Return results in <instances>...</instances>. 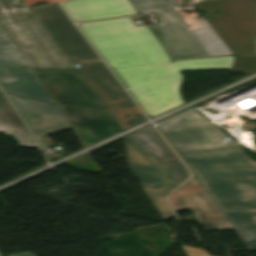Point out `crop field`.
Listing matches in <instances>:
<instances>
[{
	"label": "crop field",
	"instance_id": "1",
	"mask_svg": "<svg viewBox=\"0 0 256 256\" xmlns=\"http://www.w3.org/2000/svg\"><path fill=\"white\" fill-rule=\"evenodd\" d=\"M157 128L220 211L256 210V161L235 139L194 110Z\"/></svg>",
	"mask_w": 256,
	"mask_h": 256
},
{
	"label": "crop field",
	"instance_id": "2",
	"mask_svg": "<svg viewBox=\"0 0 256 256\" xmlns=\"http://www.w3.org/2000/svg\"><path fill=\"white\" fill-rule=\"evenodd\" d=\"M17 1L22 0H0V25L56 104L104 107L26 4Z\"/></svg>",
	"mask_w": 256,
	"mask_h": 256
},
{
	"label": "crop field",
	"instance_id": "3",
	"mask_svg": "<svg viewBox=\"0 0 256 256\" xmlns=\"http://www.w3.org/2000/svg\"><path fill=\"white\" fill-rule=\"evenodd\" d=\"M128 166L162 219L174 215L165 196L189 177L152 125L123 137Z\"/></svg>",
	"mask_w": 256,
	"mask_h": 256
},
{
	"label": "crop field",
	"instance_id": "4",
	"mask_svg": "<svg viewBox=\"0 0 256 256\" xmlns=\"http://www.w3.org/2000/svg\"><path fill=\"white\" fill-rule=\"evenodd\" d=\"M235 57L183 60L171 64L149 65L114 70L149 118L183 104L179 71L229 70Z\"/></svg>",
	"mask_w": 256,
	"mask_h": 256
},
{
	"label": "crop field",
	"instance_id": "5",
	"mask_svg": "<svg viewBox=\"0 0 256 256\" xmlns=\"http://www.w3.org/2000/svg\"><path fill=\"white\" fill-rule=\"evenodd\" d=\"M111 68L171 61L147 25L130 18L78 24Z\"/></svg>",
	"mask_w": 256,
	"mask_h": 256
},
{
	"label": "crop field",
	"instance_id": "6",
	"mask_svg": "<svg viewBox=\"0 0 256 256\" xmlns=\"http://www.w3.org/2000/svg\"><path fill=\"white\" fill-rule=\"evenodd\" d=\"M195 6L206 11L200 12L229 49L255 46L256 0H214Z\"/></svg>",
	"mask_w": 256,
	"mask_h": 256
},
{
	"label": "crop field",
	"instance_id": "7",
	"mask_svg": "<svg viewBox=\"0 0 256 256\" xmlns=\"http://www.w3.org/2000/svg\"><path fill=\"white\" fill-rule=\"evenodd\" d=\"M30 9L72 64L100 60L57 3Z\"/></svg>",
	"mask_w": 256,
	"mask_h": 256
},
{
	"label": "crop field",
	"instance_id": "8",
	"mask_svg": "<svg viewBox=\"0 0 256 256\" xmlns=\"http://www.w3.org/2000/svg\"><path fill=\"white\" fill-rule=\"evenodd\" d=\"M0 86L5 92L55 104L9 37L0 38Z\"/></svg>",
	"mask_w": 256,
	"mask_h": 256
},
{
	"label": "crop field",
	"instance_id": "9",
	"mask_svg": "<svg viewBox=\"0 0 256 256\" xmlns=\"http://www.w3.org/2000/svg\"><path fill=\"white\" fill-rule=\"evenodd\" d=\"M156 17L160 23L148 27L171 60L208 56L178 12L158 14Z\"/></svg>",
	"mask_w": 256,
	"mask_h": 256
},
{
	"label": "crop field",
	"instance_id": "10",
	"mask_svg": "<svg viewBox=\"0 0 256 256\" xmlns=\"http://www.w3.org/2000/svg\"><path fill=\"white\" fill-rule=\"evenodd\" d=\"M168 201L174 211L190 209L208 230L233 229L195 177L172 193Z\"/></svg>",
	"mask_w": 256,
	"mask_h": 256
},
{
	"label": "crop field",
	"instance_id": "11",
	"mask_svg": "<svg viewBox=\"0 0 256 256\" xmlns=\"http://www.w3.org/2000/svg\"><path fill=\"white\" fill-rule=\"evenodd\" d=\"M85 147L121 131L105 109L61 106Z\"/></svg>",
	"mask_w": 256,
	"mask_h": 256
},
{
	"label": "crop field",
	"instance_id": "12",
	"mask_svg": "<svg viewBox=\"0 0 256 256\" xmlns=\"http://www.w3.org/2000/svg\"><path fill=\"white\" fill-rule=\"evenodd\" d=\"M6 95L28 124L34 136L71 128L57 105Z\"/></svg>",
	"mask_w": 256,
	"mask_h": 256
},
{
	"label": "crop field",
	"instance_id": "13",
	"mask_svg": "<svg viewBox=\"0 0 256 256\" xmlns=\"http://www.w3.org/2000/svg\"><path fill=\"white\" fill-rule=\"evenodd\" d=\"M76 69L105 107L131 100L102 61L82 64Z\"/></svg>",
	"mask_w": 256,
	"mask_h": 256
},
{
	"label": "crop field",
	"instance_id": "14",
	"mask_svg": "<svg viewBox=\"0 0 256 256\" xmlns=\"http://www.w3.org/2000/svg\"><path fill=\"white\" fill-rule=\"evenodd\" d=\"M62 6L75 22L138 14L129 0H71Z\"/></svg>",
	"mask_w": 256,
	"mask_h": 256
},
{
	"label": "crop field",
	"instance_id": "15",
	"mask_svg": "<svg viewBox=\"0 0 256 256\" xmlns=\"http://www.w3.org/2000/svg\"><path fill=\"white\" fill-rule=\"evenodd\" d=\"M0 132L12 133L19 145L38 148L2 92H0Z\"/></svg>",
	"mask_w": 256,
	"mask_h": 256
},
{
	"label": "crop field",
	"instance_id": "16",
	"mask_svg": "<svg viewBox=\"0 0 256 256\" xmlns=\"http://www.w3.org/2000/svg\"><path fill=\"white\" fill-rule=\"evenodd\" d=\"M222 213L247 248L256 247V211Z\"/></svg>",
	"mask_w": 256,
	"mask_h": 256
},
{
	"label": "crop field",
	"instance_id": "17",
	"mask_svg": "<svg viewBox=\"0 0 256 256\" xmlns=\"http://www.w3.org/2000/svg\"><path fill=\"white\" fill-rule=\"evenodd\" d=\"M107 110L119 124L122 130L146 121L143 113L133 101L107 107Z\"/></svg>",
	"mask_w": 256,
	"mask_h": 256
},
{
	"label": "crop field",
	"instance_id": "18",
	"mask_svg": "<svg viewBox=\"0 0 256 256\" xmlns=\"http://www.w3.org/2000/svg\"><path fill=\"white\" fill-rule=\"evenodd\" d=\"M139 14L172 11L176 0H130Z\"/></svg>",
	"mask_w": 256,
	"mask_h": 256
},
{
	"label": "crop field",
	"instance_id": "19",
	"mask_svg": "<svg viewBox=\"0 0 256 256\" xmlns=\"http://www.w3.org/2000/svg\"><path fill=\"white\" fill-rule=\"evenodd\" d=\"M231 71L254 73L256 72V57L237 58Z\"/></svg>",
	"mask_w": 256,
	"mask_h": 256
},
{
	"label": "crop field",
	"instance_id": "20",
	"mask_svg": "<svg viewBox=\"0 0 256 256\" xmlns=\"http://www.w3.org/2000/svg\"><path fill=\"white\" fill-rule=\"evenodd\" d=\"M180 246L188 256H208L207 252L203 250H199V249L185 246V245H180Z\"/></svg>",
	"mask_w": 256,
	"mask_h": 256
},
{
	"label": "crop field",
	"instance_id": "21",
	"mask_svg": "<svg viewBox=\"0 0 256 256\" xmlns=\"http://www.w3.org/2000/svg\"><path fill=\"white\" fill-rule=\"evenodd\" d=\"M235 56L237 57H246L255 55V47L252 49H241V50H232Z\"/></svg>",
	"mask_w": 256,
	"mask_h": 256
},
{
	"label": "crop field",
	"instance_id": "22",
	"mask_svg": "<svg viewBox=\"0 0 256 256\" xmlns=\"http://www.w3.org/2000/svg\"><path fill=\"white\" fill-rule=\"evenodd\" d=\"M11 256H35L30 252H25V253H21V254H16V255H11Z\"/></svg>",
	"mask_w": 256,
	"mask_h": 256
},
{
	"label": "crop field",
	"instance_id": "23",
	"mask_svg": "<svg viewBox=\"0 0 256 256\" xmlns=\"http://www.w3.org/2000/svg\"><path fill=\"white\" fill-rule=\"evenodd\" d=\"M5 36H6V34L4 33V31L2 30V28L0 26V37H5Z\"/></svg>",
	"mask_w": 256,
	"mask_h": 256
},
{
	"label": "crop field",
	"instance_id": "24",
	"mask_svg": "<svg viewBox=\"0 0 256 256\" xmlns=\"http://www.w3.org/2000/svg\"><path fill=\"white\" fill-rule=\"evenodd\" d=\"M191 1L192 3H194V2L203 1V0H191Z\"/></svg>",
	"mask_w": 256,
	"mask_h": 256
}]
</instances>
